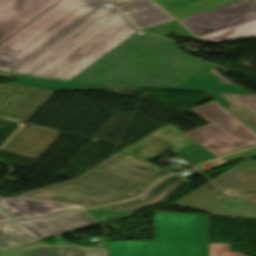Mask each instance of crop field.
<instances>
[{
	"mask_svg": "<svg viewBox=\"0 0 256 256\" xmlns=\"http://www.w3.org/2000/svg\"><path fill=\"white\" fill-rule=\"evenodd\" d=\"M170 149L194 166L216 157L178 129L167 125L76 180L24 193L21 197L88 206L134 197L159 176L171 173L148 163Z\"/></svg>",
	"mask_w": 256,
	"mask_h": 256,
	"instance_id": "obj_1",
	"label": "crop field"
},
{
	"mask_svg": "<svg viewBox=\"0 0 256 256\" xmlns=\"http://www.w3.org/2000/svg\"><path fill=\"white\" fill-rule=\"evenodd\" d=\"M121 14L100 7L10 72L70 81L137 32Z\"/></svg>",
	"mask_w": 256,
	"mask_h": 256,
	"instance_id": "obj_2",
	"label": "crop field"
},
{
	"mask_svg": "<svg viewBox=\"0 0 256 256\" xmlns=\"http://www.w3.org/2000/svg\"><path fill=\"white\" fill-rule=\"evenodd\" d=\"M204 63L169 40L136 33L72 81L171 89Z\"/></svg>",
	"mask_w": 256,
	"mask_h": 256,
	"instance_id": "obj_3",
	"label": "crop field"
},
{
	"mask_svg": "<svg viewBox=\"0 0 256 256\" xmlns=\"http://www.w3.org/2000/svg\"><path fill=\"white\" fill-rule=\"evenodd\" d=\"M103 4L61 0L0 45V70L9 72Z\"/></svg>",
	"mask_w": 256,
	"mask_h": 256,
	"instance_id": "obj_4",
	"label": "crop field"
},
{
	"mask_svg": "<svg viewBox=\"0 0 256 256\" xmlns=\"http://www.w3.org/2000/svg\"><path fill=\"white\" fill-rule=\"evenodd\" d=\"M209 216L155 211L153 256H208Z\"/></svg>",
	"mask_w": 256,
	"mask_h": 256,
	"instance_id": "obj_5",
	"label": "crop field"
},
{
	"mask_svg": "<svg viewBox=\"0 0 256 256\" xmlns=\"http://www.w3.org/2000/svg\"><path fill=\"white\" fill-rule=\"evenodd\" d=\"M256 7V0H248ZM180 21L203 40L216 44L256 37V10L244 0Z\"/></svg>",
	"mask_w": 256,
	"mask_h": 256,
	"instance_id": "obj_6",
	"label": "crop field"
},
{
	"mask_svg": "<svg viewBox=\"0 0 256 256\" xmlns=\"http://www.w3.org/2000/svg\"><path fill=\"white\" fill-rule=\"evenodd\" d=\"M191 111L211 124L185 134L215 155L227 154L256 144V134L215 101Z\"/></svg>",
	"mask_w": 256,
	"mask_h": 256,
	"instance_id": "obj_7",
	"label": "crop field"
},
{
	"mask_svg": "<svg viewBox=\"0 0 256 256\" xmlns=\"http://www.w3.org/2000/svg\"><path fill=\"white\" fill-rule=\"evenodd\" d=\"M60 0H0V44Z\"/></svg>",
	"mask_w": 256,
	"mask_h": 256,
	"instance_id": "obj_8",
	"label": "crop field"
},
{
	"mask_svg": "<svg viewBox=\"0 0 256 256\" xmlns=\"http://www.w3.org/2000/svg\"><path fill=\"white\" fill-rule=\"evenodd\" d=\"M40 240L97 225L82 211L64 214L49 219L19 223Z\"/></svg>",
	"mask_w": 256,
	"mask_h": 256,
	"instance_id": "obj_9",
	"label": "crop field"
},
{
	"mask_svg": "<svg viewBox=\"0 0 256 256\" xmlns=\"http://www.w3.org/2000/svg\"><path fill=\"white\" fill-rule=\"evenodd\" d=\"M0 207L17 220L24 218L43 217L53 213L88 206L48 202L21 197H0Z\"/></svg>",
	"mask_w": 256,
	"mask_h": 256,
	"instance_id": "obj_10",
	"label": "crop field"
},
{
	"mask_svg": "<svg viewBox=\"0 0 256 256\" xmlns=\"http://www.w3.org/2000/svg\"><path fill=\"white\" fill-rule=\"evenodd\" d=\"M0 256H106L104 247H81L68 242L50 246L42 241L0 252Z\"/></svg>",
	"mask_w": 256,
	"mask_h": 256,
	"instance_id": "obj_11",
	"label": "crop field"
},
{
	"mask_svg": "<svg viewBox=\"0 0 256 256\" xmlns=\"http://www.w3.org/2000/svg\"><path fill=\"white\" fill-rule=\"evenodd\" d=\"M217 66L207 62L195 73L190 75L173 89L201 92L238 93L255 95L232 84L219 83L223 78L215 75L212 70Z\"/></svg>",
	"mask_w": 256,
	"mask_h": 256,
	"instance_id": "obj_12",
	"label": "crop field"
},
{
	"mask_svg": "<svg viewBox=\"0 0 256 256\" xmlns=\"http://www.w3.org/2000/svg\"><path fill=\"white\" fill-rule=\"evenodd\" d=\"M118 8L140 30L174 21L172 17L151 0H137L120 5Z\"/></svg>",
	"mask_w": 256,
	"mask_h": 256,
	"instance_id": "obj_13",
	"label": "crop field"
},
{
	"mask_svg": "<svg viewBox=\"0 0 256 256\" xmlns=\"http://www.w3.org/2000/svg\"><path fill=\"white\" fill-rule=\"evenodd\" d=\"M185 181H187L185 178L174 175L172 177L160 181L154 188H152L147 194H145L143 197L139 199L115 205L105 206L102 208L130 211L137 208L145 207L160 201L171 190H173L174 188H176Z\"/></svg>",
	"mask_w": 256,
	"mask_h": 256,
	"instance_id": "obj_14",
	"label": "crop field"
},
{
	"mask_svg": "<svg viewBox=\"0 0 256 256\" xmlns=\"http://www.w3.org/2000/svg\"><path fill=\"white\" fill-rule=\"evenodd\" d=\"M178 19L239 0H155ZM171 14V15H172ZM176 18V19H177Z\"/></svg>",
	"mask_w": 256,
	"mask_h": 256,
	"instance_id": "obj_15",
	"label": "crop field"
},
{
	"mask_svg": "<svg viewBox=\"0 0 256 256\" xmlns=\"http://www.w3.org/2000/svg\"><path fill=\"white\" fill-rule=\"evenodd\" d=\"M36 237L17 223L0 226V251L38 242Z\"/></svg>",
	"mask_w": 256,
	"mask_h": 256,
	"instance_id": "obj_16",
	"label": "crop field"
},
{
	"mask_svg": "<svg viewBox=\"0 0 256 256\" xmlns=\"http://www.w3.org/2000/svg\"><path fill=\"white\" fill-rule=\"evenodd\" d=\"M105 252L107 256H152V241H111Z\"/></svg>",
	"mask_w": 256,
	"mask_h": 256,
	"instance_id": "obj_17",
	"label": "crop field"
},
{
	"mask_svg": "<svg viewBox=\"0 0 256 256\" xmlns=\"http://www.w3.org/2000/svg\"><path fill=\"white\" fill-rule=\"evenodd\" d=\"M16 83L50 89V90H56V91L90 90V89H101L102 87V85H99V84L57 82V81L38 80V79L25 78V77L17 78Z\"/></svg>",
	"mask_w": 256,
	"mask_h": 256,
	"instance_id": "obj_18",
	"label": "crop field"
},
{
	"mask_svg": "<svg viewBox=\"0 0 256 256\" xmlns=\"http://www.w3.org/2000/svg\"><path fill=\"white\" fill-rule=\"evenodd\" d=\"M223 106L229 108L244 122L256 130V114L238 101L232 94L208 93ZM228 109V110H229Z\"/></svg>",
	"mask_w": 256,
	"mask_h": 256,
	"instance_id": "obj_19",
	"label": "crop field"
},
{
	"mask_svg": "<svg viewBox=\"0 0 256 256\" xmlns=\"http://www.w3.org/2000/svg\"><path fill=\"white\" fill-rule=\"evenodd\" d=\"M152 34L160 35V36H168L171 33H176L180 37L184 38H190V39H196L193 35H191L187 30H185L180 24H178L176 21L170 22L167 24H163L160 26H156L153 28H149L146 30H143ZM198 40V39H196Z\"/></svg>",
	"mask_w": 256,
	"mask_h": 256,
	"instance_id": "obj_20",
	"label": "crop field"
},
{
	"mask_svg": "<svg viewBox=\"0 0 256 256\" xmlns=\"http://www.w3.org/2000/svg\"><path fill=\"white\" fill-rule=\"evenodd\" d=\"M85 212H87L91 217H93L99 223L137 214L132 212L108 210V209H102V208L89 209V210H85Z\"/></svg>",
	"mask_w": 256,
	"mask_h": 256,
	"instance_id": "obj_21",
	"label": "crop field"
},
{
	"mask_svg": "<svg viewBox=\"0 0 256 256\" xmlns=\"http://www.w3.org/2000/svg\"><path fill=\"white\" fill-rule=\"evenodd\" d=\"M209 256H242L229 253V245L209 244Z\"/></svg>",
	"mask_w": 256,
	"mask_h": 256,
	"instance_id": "obj_22",
	"label": "crop field"
},
{
	"mask_svg": "<svg viewBox=\"0 0 256 256\" xmlns=\"http://www.w3.org/2000/svg\"><path fill=\"white\" fill-rule=\"evenodd\" d=\"M233 96L236 97L238 100H240L242 103H244L246 106H248L251 110H253L256 113V97L255 96L238 95V94H233Z\"/></svg>",
	"mask_w": 256,
	"mask_h": 256,
	"instance_id": "obj_23",
	"label": "crop field"
},
{
	"mask_svg": "<svg viewBox=\"0 0 256 256\" xmlns=\"http://www.w3.org/2000/svg\"><path fill=\"white\" fill-rule=\"evenodd\" d=\"M256 156V148L249 150V151H245L239 154H235V155H230V156H226L224 157L227 161L231 162L234 160H238V159H247V158H251V157H255Z\"/></svg>",
	"mask_w": 256,
	"mask_h": 256,
	"instance_id": "obj_24",
	"label": "crop field"
},
{
	"mask_svg": "<svg viewBox=\"0 0 256 256\" xmlns=\"http://www.w3.org/2000/svg\"><path fill=\"white\" fill-rule=\"evenodd\" d=\"M12 220L9 218L6 214H4L2 211H0V223L10 221Z\"/></svg>",
	"mask_w": 256,
	"mask_h": 256,
	"instance_id": "obj_25",
	"label": "crop field"
},
{
	"mask_svg": "<svg viewBox=\"0 0 256 256\" xmlns=\"http://www.w3.org/2000/svg\"><path fill=\"white\" fill-rule=\"evenodd\" d=\"M0 77L17 78L18 76H14V75H10V74H6V73H3V72H0Z\"/></svg>",
	"mask_w": 256,
	"mask_h": 256,
	"instance_id": "obj_26",
	"label": "crop field"
},
{
	"mask_svg": "<svg viewBox=\"0 0 256 256\" xmlns=\"http://www.w3.org/2000/svg\"><path fill=\"white\" fill-rule=\"evenodd\" d=\"M103 1L111 2V3H122L129 0H103Z\"/></svg>",
	"mask_w": 256,
	"mask_h": 256,
	"instance_id": "obj_27",
	"label": "crop field"
}]
</instances>
